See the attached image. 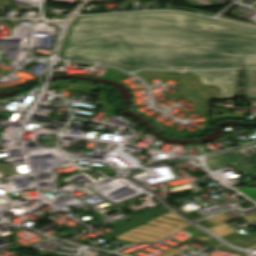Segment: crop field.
<instances>
[{
  "label": "crop field",
  "mask_w": 256,
  "mask_h": 256,
  "mask_svg": "<svg viewBox=\"0 0 256 256\" xmlns=\"http://www.w3.org/2000/svg\"><path fill=\"white\" fill-rule=\"evenodd\" d=\"M241 191L243 194L256 201V189H237Z\"/></svg>",
  "instance_id": "e52e79f7"
},
{
  "label": "crop field",
  "mask_w": 256,
  "mask_h": 256,
  "mask_svg": "<svg viewBox=\"0 0 256 256\" xmlns=\"http://www.w3.org/2000/svg\"><path fill=\"white\" fill-rule=\"evenodd\" d=\"M89 1H102V0H89Z\"/></svg>",
  "instance_id": "d8731c3e"
},
{
  "label": "crop field",
  "mask_w": 256,
  "mask_h": 256,
  "mask_svg": "<svg viewBox=\"0 0 256 256\" xmlns=\"http://www.w3.org/2000/svg\"><path fill=\"white\" fill-rule=\"evenodd\" d=\"M223 238L230 241L232 244L246 248L256 245V232L249 236H243L237 232H233L223 236Z\"/></svg>",
  "instance_id": "f4fd0767"
},
{
  "label": "crop field",
  "mask_w": 256,
  "mask_h": 256,
  "mask_svg": "<svg viewBox=\"0 0 256 256\" xmlns=\"http://www.w3.org/2000/svg\"><path fill=\"white\" fill-rule=\"evenodd\" d=\"M206 161L210 169L232 164L239 173H252L253 175H256V172L236 151L212 156L207 158Z\"/></svg>",
  "instance_id": "412701ff"
},
{
  "label": "crop field",
  "mask_w": 256,
  "mask_h": 256,
  "mask_svg": "<svg viewBox=\"0 0 256 256\" xmlns=\"http://www.w3.org/2000/svg\"><path fill=\"white\" fill-rule=\"evenodd\" d=\"M170 212V210H168L166 207L161 206V207H157L155 209H152L150 211H147L145 213L139 214L137 216L128 218V219H124L121 221H118L116 223L111 224L113 227L117 228L119 231L102 236V238L107 241L113 237H116L122 233H125L129 230H132L138 226H140L143 223H147L159 216H162L166 213ZM130 221V222H128Z\"/></svg>",
  "instance_id": "34b2d1b8"
},
{
  "label": "crop field",
  "mask_w": 256,
  "mask_h": 256,
  "mask_svg": "<svg viewBox=\"0 0 256 256\" xmlns=\"http://www.w3.org/2000/svg\"><path fill=\"white\" fill-rule=\"evenodd\" d=\"M238 71H203L193 73L201 78L202 84L218 86L221 89V96L218 98H233L237 94Z\"/></svg>",
  "instance_id": "ac0d7876"
},
{
  "label": "crop field",
  "mask_w": 256,
  "mask_h": 256,
  "mask_svg": "<svg viewBox=\"0 0 256 256\" xmlns=\"http://www.w3.org/2000/svg\"><path fill=\"white\" fill-rule=\"evenodd\" d=\"M63 57L151 69L256 67V29L175 12L80 17Z\"/></svg>",
  "instance_id": "8a807250"
},
{
  "label": "crop field",
  "mask_w": 256,
  "mask_h": 256,
  "mask_svg": "<svg viewBox=\"0 0 256 256\" xmlns=\"http://www.w3.org/2000/svg\"><path fill=\"white\" fill-rule=\"evenodd\" d=\"M243 94L249 99H256V70H246Z\"/></svg>",
  "instance_id": "dd49c442"
}]
</instances>
